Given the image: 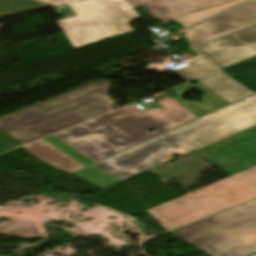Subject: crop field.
<instances>
[{"mask_svg":"<svg viewBox=\"0 0 256 256\" xmlns=\"http://www.w3.org/2000/svg\"><path fill=\"white\" fill-rule=\"evenodd\" d=\"M255 124L251 95L73 173L105 188Z\"/></svg>","mask_w":256,"mask_h":256,"instance_id":"8a807250","label":"crop field"},{"mask_svg":"<svg viewBox=\"0 0 256 256\" xmlns=\"http://www.w3.org/2000/svg\"><path fill=\"white\" fill-rule=\"evenodd\" d=\"M158 103L164 109L132 105L43 139L85 167L197 118L171 97Z\"/></svg>","mask_w":256,"mask_h":256,"instance_id":"ac0d7876","label":"crop field"},{"mask_svg":"<svg viewBox=\"0 0 256 256\" xmlns=\"http://www.w3.org/2000/svg\"><path fill=\"white\" fill-rule=\"evenodd\" d=\"M256 198V166L210 185L200 195L185 194L146 210L168 232Z\"/></svg>","mask_w":256,"mask_h":256,"instance_id":"34b2d1b8","label":"crop field"},{"mask_svg":"<svg viewBox=\"0 0 256 256\" xmlns=\"http://www.w3.org/2000/svg\"><path fill=\"white\" fill-rule=\"evenodd\" d=\"M171 233L209 256H246L256 252V199Z\"/></svg>","mask_w":256,"mask_h":256,"instance_id":"412701ff","label":"crop field"},{"mask_svg":"<svg viewBox=\"0 0 256 256\" xmlns=\"http://www.w3.org/2000/svg\"><path fill=\"white\" fill-rule=\"evenodd\" d=\"M68 5L78 16L57 22L75 48L132 31L125 21L139 18L126 0H85Z\"/></svg>","mask_w":256,"mask_h":256,"instance_id":"f4fd0767","label":"crop field"},{"mask_svg":"<svg viewBox=\"0 0 256 256\" xmlns=\"http://www.w3.org/2000/svg\"><path fill=\"white\" fill-rule=\"evenodd\" d=\"M231 174L256 165V126L198 150Z\"/></svg>","mask_w":256,"mask_h":256,"instance_id":"dd49c442","label":"crop field"},{"mask_svg":"<svg viewBox=\"0 0 256 256\" xmlns=\"http://www.w3.org/2000/svg\"><path fill=\"white\" fill-rule=\"evenodd\" d=\"M256 24V0H250L195 27L184 30L192 46Z\"/></svg>","mask_w":256,"mask_h":256,"instance_id":"e52e79f7","label":"crop field"},{"mask_svg":"<svg viewBox=\"0 0 256 256\" xmlns=\"http://www.w3.org/2000/svg\"><path fill=\"white\" fill-rule=\"evenodd\" d=\"M220 69L256 55V25L194 47Z\"/></svg>","mask_w":256,"mask_h":256,"instance_id":"d8731c3e","label":"crop field"},{"mask_svg":"<svg viewBox=\"0 0 256 256\" xmlns=\"http://www.w3.org/2000/svg\"><path fill=\"white\" fill-rule=\"evenodd\" d=\"M133 8L144 6L154 19L164 22L234 0H127Z\"/></svg>","mask_w":256,"mask_h":256,"instance_id":"5a996713","label":"crop field"},{"mask_svg":"<svg viewBox=\"0 0 256 256\" xmlns=\"http://www.w3.org/2000/svg\"><path fill=\"white\" fill-rule=\"evenodd\" d=\"M194 88L198 89L199 91L205 94L204 96L199 98L202 100L201 103L198 101L189 102V101L182 100L183 95L173 97V98L198 117L229 105L222 98H220L219 96H217L216 94H214L213 92H211L210 90H208L207 88H205L199 83L194 85L188 83V84L179 86L177 88H174L172 90H178L184 93Z\"/></svg>","mask_w":256,"mask_h":256,"instance_id":"3316defc","label":"crop field"},{"mask_svg":"<svg viewBox=\"0 0 256 256\" xmlns=\"http://www.w3.org/2000/svg\"><path fill=\"white\" fill-rule=\"evenodd\" d=\"M197 81L230 104L251 95L250 92L237 85L220 72L205 76Z\"/></svg>","mask_w":256,"mask_h":256,"instance_id":"28ad6ade","label":"crop field"},{"mask_svg":"<svg viewBox=\"0 0 256 256\" xmlns=\"http://www.w3.org/2000/svg\"><path fill=\"white\" fill-rule=\"evenodd\" d=\"M245 88L256 93V56L222 69Z\"/></svg>","mask_w":256,"mask_h":256,"instance_id":"d1516ede","label":"crop field"},{"mask_svg":"<svg viewBox=\"0 0 256 256\" xmlns=\"http://www.w3.org/2000/svg\"><path fill=\"white\" fill-rule=\"evenodd\" d=\"M245 0H237V1H234V2H230V3H227V4H224V5H220V6H217V7H214V8H211V9H207V10H204V11H201V12H197V13H194V14H191V15H187V16H184V17H181V18H177V19H174V20H171V21H167V22H164V23H161V25H166L168 23H172V22H176L178 23L179 25H181L182 27L184 28H187L195 23H198L228 7H231L233 5H236L238 3H241Z\"/></svg>","mask_w":256,"mask_h":256,"instance_id":"22f410ed","label":"crop field"},{"mask_svg":"<svg viewBox=\"0 0 256 256\" xmlns=\"http://www.w3.org/2000/svg\"><path fill=\"white\" fill-rule=\"evenodd\" d=\"M192 61L193 62L189 66L174 70L175 73L180 75L185 80L189 81L196 77H199L209 72H212L214 70H217L213 65H211L202 57H199Z\"/></svg>","mask_w":256,"mask_h":256,"instance_id":"cbeb9de0","label":"crop field"},{"mask_svg":"<svg viewBox=\"0 0 256 256\" xmlns=\"http://www.w3.org/2000/svg\"><path fill=\"white\" fill-rule=\"evenodd\" d=\"M42 1H45L53 5H59V4L69 3V2L79 1V0H42Z\"/></svg>","mask_w":256,"mask_h":256,"instance_id":"5142ce71","label":"crop field"},{"mask_svg":"<svg viewBox=\"0 0 256 256\" xmlns=\"http://www.w3.org/2000/svg\"><path fill=\"white\" fill-rule=\"evenodd\" d=\"M207 189H209V185L206 186V187H203V188H201V189L195 190V191H193V192H190V194H200V193L204 192V191L207 190Z\"/></svg>","mask_w":256,"mask_h":256,"instance_id":"d9b57169","label":"crop field"}]
</instances>
